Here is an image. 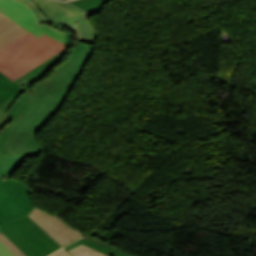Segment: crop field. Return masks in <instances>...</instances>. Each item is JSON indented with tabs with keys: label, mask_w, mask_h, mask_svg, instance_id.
I'll return each instance as SVG.
<instances>
[{
	"label": "crop field",
	"mask_w": 256,
	"mask_h": 256,
	"mask_svg": "<svg viewBox=\"0 0 256 256\" xmlns=\"http://www.w3.org/2000/svg\"><path fill=\"white\" fill-rule=\"evenodd\" d=\"M93 47L79 42L69 59L55 69L52 78L39 83L1 150L0 178L10 177L27 157L40 156L41 148L36 142L35 135L67 100L75 81L92 54Z\"/></svg>",
	"instance_id": "8a807250"
},
{
	"label": "crop field",
	"mask_w": 256,
	"mask_h": 256,
	"mask_svg": "<svg viewBox=\"0 0 256 256\" xmlns=\"http://www.w3.org/2000/svg\"><path fill=\"white\" fill-rule=\"evenodd\" d=\"M67 47L46 34L38 38L29 32L0 49V72L14 81Z\"/></svg>",
	"instance_id": "ac0d7876"
},
{
	"label": "crop field",
	"mask_w": 256,
	"mask_h": 256,
	"mask_svg": "<svg viewBox=\"0 0 256 256\" xmlns=\"http://www.w3.org/2000/svg\"><path fill=\"white\" fill-rule=\"evenodd\" d=\"M68 48L43 62L26 75L15 81L22 89L0 105V109L8 115V117L0 123V150L6 137L26 108L38 83L40 82V78L63 58Z\"/></svg>",
	"instance_id": "34b2d1b8"
},
{
	"label": "crop field",
	"mask_w": 256,
	"mask_h": 256,
	"mask_svg": "<svg viewBox=\"0 0 256 256\" xmlns=\"http://www.w3.org/2000/svg\"><path fill=\"white\" fill-rule=\"evenodd\" d=\"M0 231L27 256H46L62 248L27 215L0 225Z\"/></svg>",
	"instance_id": "412701ff"
},
{
	"label": "crop field",
	"mask_w": 256,
	"mask_h": 256,
	"mask_svg": "<svg viewBox=\"0 0 256 256\" xmlns=\"http://www.w3.org/2000/svg\"><path fill=\"white\" fill-rule=\"evenodd\" d=\"M25 183L13 179H0V224L28 214L35 206L27 194Z\"/></svg>",
	"instance_id": "f4fd0767"
},
{
	"label": "crop field",
	"mask_w": 256,
	"mask_h": 256,
	"mask_svg": "<svg viewBox=\"0 0 256 256\" xmlns=\"http://www.w3.org/2000/svg\"><path fill=\"white\" fill-rule=\"evenodd\" d=\"M0 11L38 37L46 33L60 42L65 41L64 32L47 24H39L34 11L22 2L0 0Z\"/></svg>",
	"instance_id": "dd49c442"
},
{
	"label": "crop field",
	"mask_w": 256,
	"mask_h": 256,
	"mask_svg": "<svg viewBox=\"0 0 256 256\" xmlns=\"http://www.w3.org/2000/svg\"><path fill=\"white\" fill-rule=\"evenodd\" d=\"M30 216L48 235H50L62 247L84 236L78 230L71 228L63 220L39 209L34 208Z\"/></svg>",
	"instance_id": "e52e79f7"
},
{
	"label": "crop field",
	"mask_w": 256,
	"mask_h": 256,
	"mask_svg": "<svg viewBox=\"0 0 256 256\" xmlns=\"http://www.w3.org/2000/svg\"><path fill=\"white\" fill-rule=\"evenodd\" d=\"M27 32L29 31L0 12V48Z\"/></svg>",
	"instance_id": "d8731c3e"
},
{
	"label": "crop field",
	"mask_w": 256,
	"mask_h": 256,
	"mask_svg": "<svg viewBox=\"0 0 256 256\" xmlns=\"http://www.w3.org/2000/svg\"><path fill=\"white\" fill-rule=\"evenodd\" d=\"M80 243H83V244H86V245H88L92 248H95V249H97V250H99L103 253L108 254L109 256H131V255H129V254L113 247V246H110L108 244H105V243L97 240L96 238H94L90 235H88V236H86V237H84V238L66 246L64 249L67 251V250L73 248L74 246H76Z\"/></svg>",
	"instance_id": "5a996713"
},
{
	"label": "crop field",
	"mask_w": 256,
	"mask_h": 256,
	"mask_svg": "<svg viewBox=\"0 0 256 256\" xmlns=\"http://www.w3.org/2000/svg\"><path fill=\"white\" fill-rule=\"evenodd\" d=\"M77 33L76 41L95 44L96 31L91 27L87 18L72 25L66 26Z\"/></svg>",
	"instance_id": "3316defc"
},
{
	"label": "crop field",
	"mask_w": 256,
	"mask_h": 256,
	"mask_svg": "<svg viewBox=\"0 0 256 256\" xmlns=\"http://www.w3.org/2000/svg\"><path fill=\"white\" fill-rule=\"evenodd\" d=\"M19 89L18 84L0 73V104Z\"/></svg>",
	"instance_id": "28ad6ade"
},
{
	"label": "crop field",
	"mask_w": 256,
	"mask_h": 256,
	"mask_svg": "<svg viewBox=\"0 0 256 256\" xmlns=\"http://www.w3.org/2000/svg\"><path fill=\"white\" fill-rule=\"evenodd\" d=\"M109 0H78L71 2L82 8L88 15L97 13L101 10L102 4Z\"/></svg>",
	"instance_id": "d1516ede"
},
{
	"label": "crop field",
	"mask_w": 256,
	"mask_h": 256,
	"mask_svg": "<svg viewBox=\"0 0 256 256\" xmlns=\"http://www.w3.org/2000/svg\"><path fill=\"white\" fill-rule=\"evenodd\" d=\"M73 256H107L97 250H94L86 245H78L73 249L67 251Z\"/></svg>",
	"instance_id": "22f410ed"
},
{
	"label": "crop field",
	"mask_w": 256,
	"mask_h": 256,
	"mask_svg": "<svg viewBox=\"0 0 256 256\" xmlns=\"http://www.w3.org/2000/svg\"><path fill=\"white\" fill-rule=\"evenodd\" d=\"M0 241L11 250L16 256H26L20 251L3 233L0 232Z\"/></svg>",
	"instance_id": "cbeb9de0"
},
{
	"label": "crop field",
	"mask_w": 256,
	"mask_h": 256,
	"mask_svg": "<svg viewBox=\"0 0 256 256\" xmlns=\"http://www.w3.org/2000/svg\"><path fill=\"white\" fill-rule=\"evenodd\" d=\"M0 256H15L0 242Z\"/></svg>",
	"instance_id": "5142ce71"
},
{
	"label": "crop field",
	"mask_w": 256,
	"mask_h": 256,
	"mask_svg": "<svg viewBox=\"0 0 256 256\" xmlns=\"http://www.w3.org/2000/svg\"><path fill=\"white\" fill-rule=\"evenodd\" d=\"M50 256H70L69 254H67L65 251H63V250H60V251H58V252H56V253H54V254H52V255H50Z\"/></svg>",
	"instance_id": "d9b57169"
},
{
	"label": "crop field",
	"mask_w": 256,
	"mask_h": 256,
	"mask_svg": "<svg viewBox=\"0 0 256 256\" xmlns=\"http://www.w3.org/2000/svg\"><path fill=\"white\" fill-rule=\"evenodd\" d=\"M65 44H67L68 46L71 44V37L69 33H66V41Z\"/></svg>",
	"instance_id": "733c2abd"
},
{
	"label": "crop field",
	"mask_w": 256,
	"mask_h": 256,
	"mask_svg": "<svg viewBox=\"0 0 256 256\" xmlns=\"http://www.w3.org/2000/svg\"><path fill=\"white\" fill-rule=\"evenodd\" d=\"M6 116H7V115H6L3 111L0 110V122H1L3 119H5Z\"/></svg>",
	"instance_id": "4a817a6b"
}]
</instances>
